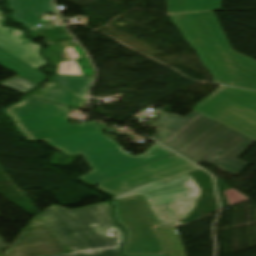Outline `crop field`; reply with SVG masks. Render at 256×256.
Masks as SVG:
<instances>
[{"label": "crop field", "mask_w": 256, "mask_h": 256, "mask_svg": "<svg viewBox=\"0 0 256 256\" xmlns=\"http://www.w3.org/2000/svg\"><path fill=\"white\" fill-rule=\"evenodd\" d=\"M40 141H45L66 156L75 154L83 156L92 170L78 179L92 187L104 180L173 154L155 143L144 154L133 157L114 140L106 137L101 130Z\"/></svg>", "instance_id": "3"}, {"label": "crop field", "mask_w": 256, "mask_h": 256, "mask_svg": "<svg viewBox=\"0 0 256 256\" xmlns=\"http://www.w3.org/2000/svg\"><path fill=\"white\" fill-rule=\"evenodd\" d=\"M181 12L221 9L220 0H180Z\"/></svg>", "instance_id": "18"}, {"label": "crop field", "mask_w": 256, "mask_h": 256, "mask_svg": "<svg viewBox=\"0 0 256 256\" xmlns=\"http://www.w3.org/2000/svg\"><path fill=\"white\" fill-rule=\"evenodd\" d=\"M154 126L158 131L152 138L197 164L213 162L232 174H240L248 165L236 159L255 142L196 111L185 119L163 112Z\"/></svg>", "instance_id": "1"}, {"label": "crop field", "mask_w": 256, "mask_h": 256, "mask_svg": "<svg viewBox=\"0 0 256 256\" xmlns=\"http://www.w3.org/2000/svg\"><path fill=\"white\" fill-rule=\"evenodd\" d=\"M180 12L179 0H168V13Z\"/></svg>", "instance_id": "23"}, {"label": "crop field", "mask_w": 256, "mask_h": 256, "mask_svg": "<svg viewBox=\"0 0 256 256\" xmlns=\"http://www.w3.org/2000/svg\"><path fill=\"white\" fill-rule=\"evenodd\" d=\"M175 25L191 45L203 43L191 30L183 14L170 15Z\"/></svg>", "instance_id": "19"}, {"label": "crop field", "mask_w": 256, "mask_h": 256, "mask_svg": "<svg viewBox=\"0 0 256 256\" xmlns=\"http://www.w3.org/2000/svg\"><path fill=\"white\" fill-rule=\"evenodd\" d=\"M0 65L34 83L38 80L36 76L37 70L26 65L2 49H0Z\"/></svg>", "instance_id": "15"}, {"label": "crop field", "mask_w": 256, "mask_h": 256, "mask_svg": "<svg viewBox=\"0 0 256 256\" xmlns=\"http://www.w3.org/2000/svg\"><path fill=\"white\" fill-rule=\"evenodd\" d=\"M117 221L128 231L125 255H167L162 237L142 195L115 200Z\"/></svg>", "instance_id": "6"}, {"label": "crop field", "mask_w": 256, "mask_h": 256, "mask_svg": "<svg viewBox=\"0 0 256 256\" xmlns=\"http://www.w3.org/2000/svg\"><path fill=\"white\" fill-rule=\"evenodd\" d=\"M30 97L77 109L83 108L85 102L83 98L79 97L58 83L44 91L42 95L37 96L32 94ZM77 102L82 103L81 106H76Z\"/></svg>", "instance_id": "14"}, {"label": "crop field", "mask_w": 256, "mask_h": 256, "mask_svg": "<svg viewBox=\"0 0 256 256\" xmlns=\"http://www.w3.org/2000/svg\"><path fill=\"white\" fill-rule=\"evenodd\" d=\"M58 50H60V49H58ZM72 50H73L76 58L84 56L83 52L80 50L79 47H74V48H72ZM58 52H59V55H60L61 59H68V58H70L68 53H67V51H66V49L58 51ZM78 61H79V65H80V68L82 70L83 75L84 76H93V72H92V69H91V67H90V65L88 63L87 58L86 57L79 58ZM74 74H78V69H74Z\"/></svg>", "instance_id": "20"}, {"label": "crop field", "mask_w": 256, "mask_h": 256, "mask_svg": "<svg viewBox=\"0 0 256 256\" xmlns=\"http://www.w3.org/2000/svg\"><path fill=\"white\" fill-rule=\"evenodd\" d=\"M0 85H2L4 87H7L9 89H12L16 92L23 93V94L27 93L31 89L38 86V85L20 77V76H17V77H15V78H13L9 81H6V82H4Z\"/></svg>", "instance_id": "21"}, {"label": "crop field", "mask_w": 256, "mask_h": 256, "mask_svg": "<svg viewBox=\"0 0 256 256\" xmlns=\"http://www.w3.org/2000/svg\"><path fill=\"white\" fill-rule=\"evenodd\" d=\"M224 193L228 199L229 206L251 200L250 198L246 197L245 195L239 193L232 188L225 191Z\"/></svg>", "instance_id": "22"}, {"label": "crop field", "mask_w": 256, "mask_h": 256, "mask_svg": "<svg viewBox=\"0 0 256 256\" xmlns=\"http://www.w3.org/2000/svg\"><path fill=\"white\" fill-rule=\"evenodd\" d=\"M193 32L205 43L192 46L215 83L256 90V61L233 52L212 12L184 14Z\"/></svg>", "instance_id": "4"}, {"label": "crop field", "mask_w": 256, "mask_h": 256, "mask_svg": "<svg viewBox=\"0 0 256 256\" xmlns=\"http://www.w3.org/2000/svg\"><path fill=\"white\" fill-rule=\"evenodd\" d=\"M29 35V34H28ZM29 36H33L32 38H36V37H40V38H44L45 39V37H43V36H41V35H38V34H35V33H31ZM43 42H45V41H43ZM49 42V41H48ZM47 42V43H48ZM49 44V43H48ZM48 46H50V49H51V44H49ZM50 49L49 50H47V51H44V55L46 56V58H48V59H50V57L48 56V52L50 51ZM51 60V59H50ZM50 66H52V67H54V66H56V64H55V62L54 61H52L51 60V65ZM54 70H55V68H54ZM54 70L53 71H47V73H50V72H54Z\"/></svg>", "instance_id": "24"}, {"label": "crop field", "mask_w": 256, "mask_h": 256, "mask_svg": "<svg viewBox=\"0 0 256 256\" xmlns=\"http://www.w3.org/2000/svg\"><path fill=\"white\" fill-rule=\"evenodd\" d=\"M163 237L168 256H185L180 237L175 228H157Z\"/></svg>", "instance_id": "17"}, {"label": "crop field", "mask_w": 256, "mask_h": 256, "mask_svg": "<svg viewBox=\"0 0 256 256\" xmlns=\"http://www.w3.org/2000/svg\"><path fill=\"white\" fill-rule=\"evenodd\" d=\"M68 111V107L28 97L5 110L15 121L16 129L30 141L106 128L97 121L71 125L67 120Z\"/></svg>", "instance_id": "5"}, {"label": "crop field", "mask_w": 256, "mask_h": 256, "mask_svg": "<svg viewBox=\"0 0 256 256\" xmlns=\"http://www.w3.org/2000/svg\"><path fill=\"white\" fill-rule=\"evenodd\" d=\"M4 22V14L0 11V48L35 69L47 65L39 54L42 46L23 37L25 33L22 30L2 27Z\"/></svg>", "instance_id": "11"}, {"label": "crop field", "mask_w": 256, "mask_h": 256, "mask_svg": "<svg viewBox=\"0 0 256 256\" xmlns=\"http://www.w3.org/2000/svg\"><path fill=\"white\" fill-rule=\"evenodd\" d=\"M66 251L60 240L36 216L9 251L0 256H45Z\"/></svg>", "instance_id": "9"}, {"label": "crop field", "mask_w": 256, "mask_h": 256, "mask_svg": "<svg viewBox=\"0 0 256 256\" xmlns=\"http://www.w3.org/2000/svg\"><path fill=\"white\" fill-rule=\"evenodd\" d=\"M193 110L256 141V93L220 86Z\"/></svg>", "instance_id": "7"}, {"label": "crop field", "mask_w": 256, "mask_h": 256, "mask_svg": "<svg viewBox=\"0 0 256 256\" xmlns=\"http://www.w3.org/2000/svg\"><path fill=\"white\" fill-rule=\"evenodd\" d=\"M196 185V183H195ZM201 195V189L196 185V190L190 196L188 200L174 202L164 205L153 206V210L160 222L163 226H174L179 224L177 217L180 216L181 218L188 217V214L192 212L194 208H196V202ZM189 206V207H187ZM164 208L170 222L172 225L169 224L162 208Z\"/></svg>", "instance_id": "13"}, {"label": "crop field", "mask_w": 256, "mask_h": 256, "mask_svg": "<svg viewBox=\"0 0 256 256\" xmlns=\"http://www.w3.org/2000/svg\"><path fill=\"white\" fill-rule=\"evenodd\" d=\"M197 169L199 168L174 155L113 178L96 188L114 197L157 179L167 182Z\"/></svg>", "instance_id": "8"}, {"label": "crop field", "mask_w": 256, "mask_h": 256, "mask_svg": "<svg viewBox=\"0 0 256 256\" xmlns=\"http://www.w3.org/2000/svg\"><path fill=\"white\" fill-rule=\"evenodd\" d=\"M11 9L14 10L12 18L27 26L31 32L51 29V25L37 28L35 25L43 24L39 19L42 14L57 13L51 4V0H8Z\"/></svg>", "instance_id": "12"}, {"label": "crop field", "mask_w": 256, "mask_h": 256, "mask_svg": "<svg viewBox=\"0 0 256 256\" xmlns=\"http://www.w3.org/2000/svg\"><path fill=\"white\" fill-rule=\"evenodd\" d=\"M54 79L58 83L84 98L93 78L56 75Z\"/></svg>", "instance_id": "16"}, {"label": "crop field", "mask_w": 256, "mask_h": 256, "mask_svg": "<svg viewBox=\"0 0 256 256\" xmlns=\"http://www.w3.org/2000/svg\"><path fill=\"white\" fill-rule=\"evenodd\" d=\"M194 178L189 175L164 183L160 180L112 198L113 200L145 194L151 206L188 199L195 190Z\"/></svg>", "instance_id": "10"}, {"label": "crop field", "mask_w": 256, "mask_h": 256, "mask_svg": "<svg viewBox=\"0 0 256 256\" xmlns=\"http://www.w3.org/2000/svg\"><path fill=\"white\" fill-rule=\"evenodd\" d=\"M40 216L72 253L54 256H122L124 232L112 222L109 203L76 211L54 205Z\"/></svg>", "instance_id": "2"}]
</instances>
